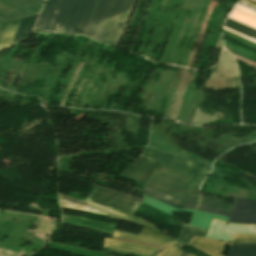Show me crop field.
<instances>
[{"label":"crop field","instance_id":"crop-field-23","mask_svg":"<svg viewBox=\"0 0 256 256\" xmlns=\"http://www.w3.org/2000/svg\"><path fill=\"white\" fill-rule=\"evenodd\" d=\"M232 243H256V235L235 234Z\"/></svg>","mask_w":256,"mask_h":256},{"label":"crop field","instance_id":"crop-field-13","mask_svg":"<svg viewBox=\"0 0 256 256\" xmlns=\"http://www.w3.org/2000/svg\"><path fill=\"white\" fill-rule=\"evenodd\" d=\"M144 194L147 196H150L152 198H155L157 200H160L166 204H169L177 209H183V208H192L195 209L196 205H188V204H179V200L174 199L172 197H169L167 195H164L162 193H159L157 191H154L150 188H147L144 186Z\"/></svg>","mask_w":256,"mask_h":256},{"label":"crop field","instance_id":"crop-field-5","mask_svg":"<svg viewBox=\"0 0 256 256\" xmlns=\"http://www.w3.org/2000/svg\"><path fill=\"white\" fill-rule=\"evenodd\" d=\"M45 0H0V23L39 12Z\"/></svg>","mask_w":256,"mask_h":256},{"label":"crop field","instance_id":"crop-field-11","mask_svg":"<svg viewBox=\"0 0 256 256\" xmlns=\"http://www.w3.org/2000/svg\"><path fill=\"white\" fill-rule=\"evenodd\" d=\"M39 14L23 18L19 24L11 45L28 38ZM10 45V46H11Z\"/></svg>","mask_w":256,"mask_h":256},{"label":"crop field","instance_id":"crop-field-16","mask_svg":"<svg viewBox=\"0 0 256 256\" xmlns=\"http://www.w3.org/2000/svg\"><path fill=\"white\" fill-rule=\"evenodd\" d=\"M224 26L256 40V30L255 29L247 27V26L240 24L236 21H233L229 18L227 19Z\"/></svg>","mask_w":256,"mask_h":256},{"label":"crop field","instance_id":"crop-field-2","mask_svg":"<svg viewBox=\"0 0 256 256\" xmlns=\"http://www.w3.org/2000/svg\"><path fill=\"white\" fill-rule=\"evenodd\" d=\"M58 196H59L61 207L91 211V212L119 218L122 220H126L129 222L137 223L140 225H144L146 227H144L142 229V231L140 232L141 234H145V235H149V236H153V237H157V238H161V239H166V240H170V241L175 240V239L161 233L160 232L161 229L155 227L154 225H152L148 222H145L143 220L133 217L132 214H129V213L117 210V209H113L110 207L102 206V205H99V204H96V203H93V202H90L87 200L82 201V200L70 198L67 196L59 195V194H58ZM113 236L124 238V239L142 241V242L155 244V245H159V246H163V247H166L169 243H171L170 241L152 238V237H148V236H144V235H140V234H136V233H132V232H127V231H122V230H118V229L115 230Z\"/></svg>","mask_w":256,"mask_h":256},{"label":"crop field","instance_id":"crop-field-21","mask_svg":"<svg viewBox=\"0 0 256 256\" xmlns=\"http://www.w3.org/2000/svg\"><path fill=\"white\" fill-rule=\"evenodd\" d=\"M183 246L173 242L168 248L164 249L159 256H177Z\"/></svg>","mask_w":256,"mask_h":256},{"label":"crop field","instance_id":"crop-field-25","mask_svg":"<svg viewBox=\"0 0 256 256\" xmlns=\"http://www.w3.org/2000/svg\"><path fill=\"white\" fill-rule=\"evenodd\" d=\"M239 2L256 10V4L248 0H240Z\"/></svg>","mask_w":256,"mask_h":256},{"label":"crop field","instance_id":"crop-field-24","mask_svg":"<svg viewBox=\"0 0 256 256\" xmlns=\"http://www.w3.org/2000/svg\"><path fill=\"white\" fill-rule=\"evenodd\" d=\"M235 9H237V10H239V11H242V12H244V13H247V14H249V15H251V16L256 17V12H254V11H252V10H250V9H248V8H246V7H244V6H241V5H239V4H237V5L235 6Z\"/></svg>","mask_w":256,"mask_h":256},{"label":"crop field","instance_id":"crop-field-27","mask_svg":"<svg viewBox=\"0 0 256 256\" xmlns=\"http://www.w3.org/2000/svg\"><path fill=\"white\" fill-rule=\"evenodd\" d=\"M187 255H188V252L182 250L178 256H187Z\"/></svg>","mask_w":256,"mask_h":256},{"label":"crop field","instance_id":"crop-field-6","mask_svg":"<svg viewBox=\"0 0 256 256\" xmlns=\"http://www.w3.org/2000/svg\"><path fill=\"white\" fill-rule=\"evenodd\" d=\"M198 210L229 216V222L256 224V201L235 199L231 213L198 206Z\"/></svg>","mask_w":256,"mask_h":256},{"label":"crop field","instance_id":"crop-field-17","mask_svg":"<svg viewBox=\"0 0 256 256\" xmlns=\"http://www.w3.org/2000/svg\"><path fill=\"white\" fill-rule=\"evenodd\" d=\"M143 202L148 204V205H151L155 208H158V209H160V210H162V211H164V212H166L170 215L173 212H185V213H191L192 212V210H190V209L176 210V209H174V208H172V207H170V206H168V205H166V204H164L160 201H157V200L152 199L150 197H147L145 195L143 197Z\"/></svg>","mask_w":256,"mask_h":256},{"label":"crop field","instance_id":"crop-field-1","mask_svg":"<svg viewBox=\"0 0 256 256\" xmlns=\"http://www.w3.org/2000/svg\"><path fill=\"white\" fill-rule=\"evenodd\" d=\"M135 0H47L36 30L83 34L115 45Z\"/></svg>","mask_w":256,"mask_h":256},{"label":"crop field","instance_id":"crop-field-19","mask_svg":"<svg viewBox=\"0 0 256 256\" xmlns=\"http://www.w3.org/2000/svg\"><path fill=\"white\" fill-rule=\"evenodd\" d=\"M199 205L201 206H206V207H210V208H215V209H219V210H224V211H228L230 210V203H226V202H222V201H218V200H214V199H210V198H206V197H202L200 198V203Z\"/></svg>","mask_w":256,"mask_h":256},{"label":"crop field","instance_id":"crop-field-7","mask_svg":"<svg viewBox=\"0 0 256 256\" xmlns=\"http://www.w3.org/2000/svg\"><path fill=\"white\" fill-rule=\"evenodd\" d=\"M86 199L108 205L132 214H134V212L140 205V203L133 202L95 189L87 196Z\"/></svg>","mask_w":256,"mask_h":256},{"label":"crop field","instance_id":"crop-field-8","mask_svg":"<svg viewBox=\"0 0 256 256\" xmlns=\"http://www.w3.org/2000/svg\"><path fill=\"white\" fill-rule=\"evenodd\" d=\"M229 242L212 240L194 236L188 245L208 254L209 256H224Z\"/></svg>","mask_w":256,"mask_h":256},{"label":"crop field","instance_id":"crop-field-15","mask_svg":"<svg viewBox=\"0 0 256 256\" xmlns=\"http://www.w3.org/2000/svg\"><path fill=\"white\" fill-rule=\"evenodd\" d=\"M227 256H256V244H232Z\"/></svg>","mask_w":256,"mask_h":256},{"label":"crop field","instance_id":"crop-field-28","mask_svg":"<svg viewBox=\"0 0 256 256\" xmlns=\"http://www.w3.org/2000/svg\"><path fill=\"white\" fill-rule=\"evenodd\" d=\"M188 256H194V255H192V254H190V253H189V255H188Z\"/></svg>","mask_w":256,"mask_h":256},{"label":"crop field","instance_id":"crop-field-14","mask_svg":"<svg viewBox=\"0 0 256 256\" xmlns=\"http://www.w3.org/2000/svg\"><path fill=\"white\" fill-rule=\"evenodd\" d=\"M20 20L2 24L0 26V49L10 44Z\"/></svg>","mask_w":256,"mask_h":256},{"label":"crop field","instance_id":"crop-field-26","mask_svg":"<svg viewBox=\"0 0 256 256\" xmlns=\"http://www.w3.org/2000/svg\"><path fill=\"white\" fill-rule=\"evenodd\" d=\"M224 29H226V30H228V31H230V32H232V33H235V34H237V35H239V36H241V37H243V38H246V39H248V40L253 41V42L256 43V41H254V40H252V39H250V38H248V37H245V36H243V35H241V34H238V33L234 32V31H232V30H229V29H227V28H225V27H224Z\"/></svg>","mask_w":256,"mask_h":256},{"label":"crop field","instance_id":"crop-field-9","mask_svg":"<svg viewBox=\"0 0 256 256\" xmlns=\"http://www.w3.org/2000/svg\"><path fill=\"white\" fill-rule=\"evenodd\" d=\"M103 246L131 251L139 254L155 256L161 250L135 243L105 238Z\"/></svg>","mask_w":256,"mask_h":256},{"label":"crop field","instance_id":"crop-field-22","mask_svg":"<svg viewBox=\"0 0 256 256\" xmlns=\"http://www.w3.org/2000/svg\"><path fill=\"white\" fill-rule=\"evenodd\" d=\"M94 188L142 203L141 198H138V197H135V196H132V195H128V194H125V193H121V192H118V191H115V190H111V189H107V188H103V187H99V186H95V185H94Z\"/></svg>","mask_w":256,"mask_h":256},{"label":"crop field","instance_id":"crop-field-18","mask_svg":"<svg viewBox=\"0 0 256 256\" xmlns=\"http://www.w3.org/2000/svg\"><path fill=\"white\" fill-rule=\"evenodd\" d=\"M229 18L256 29V18L246 15L235 9L232 10V12L229 15Z\"/></svg>","mask_w":256,"mask_h":256},{"label":"crop field","instance_id":"crop-field-4","mask_svg":"<svg viewBox=\"0 0 256 256\" xmlns=\"http://www.w3.org/2000/svg\"><path fill=\"white\" fill-rule=\"evenodd\" d=\"M186 183V181L155 171L145 186L180 198V203L197 204L199 196L182 195Z\"/></svg>","mask_w":256,"mask_h":256},{"label":"crop field","instance_id":"crop-field-3","mask_svg":"<svg viewBox=\"0 0 256 256\" xmlns=\"http://www.w3.org/2000/svg\"><path fill=\"white\" fill-rule=\"evenodd\" d=\"M144 155L164 163L163 166L192 175L185 189L198 190L202 179L210 171V168L205 166L160 152L149 147L145 151Z\"/></svg>","mask_w":256,"mask_h":256},{"label":"crop field","instance_id":"crop-field-12","mask_svg":"<svg viewBox=\"0 0 256 256\" xmlns=\"http://www.w3.org/2000/svg\"><path fill=\"white\" fill-rule=\"evenodd\" d=\"M212 218L228 221V217L195 210V212L192 214V220L190 221L189 225L207 229Z\"/></svg>","mask_w":256,"mask_h":256},{"label":"crop field","instance_id":"crop-field-10","mask_svg":"<svg viewBox=\"0 0 256 256\" xmlns=\"http://www.w3.org/2000/svg\"><path fill=\"white\" fill-rule=\"evenodd\" d=\"M154 162L155 160L140 155L122 174H120V176L136 181Z\"/></svg>","mask_w":256,"mask_h":256},{"label":"crop field","instance_id":"crop-field-20","mask_svg":"<svg viewBox=\"0 0 256 256\" xmlns=\"http://www.w3.org/2000/svg\"><path fill=\"white\" fill-rule=\"evenodd\" d=\"M206 231L205 230H201V229H197V228H193V227H189L186 226V228L184 229L181 237L176 240L184 245L187 244V242L190 240V238L196 234V235H200V236H205Z\"/></svg>","mask_w":256,"mask_h":256}]
</instances>
